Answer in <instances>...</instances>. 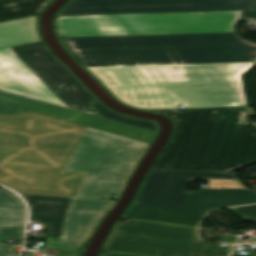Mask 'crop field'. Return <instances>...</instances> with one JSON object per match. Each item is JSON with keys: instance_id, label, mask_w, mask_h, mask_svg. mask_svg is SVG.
<instances>
[{"instance_id": "obj_9", "label": "crop field", "mask_w": 256, "mask_h": 256, "mask_svg": "<svg viewBox=\"0 0 256 256\" xmlns=\"http://www.w3.org/2000/svg\"><path fill=\"white\" fill-rule=\"evenodd\" d=\"M256 10V0H72L58 16Z\"/></svg>"}, {"instance_id": "obj_4", "label": "crop field", "mask_w": 256, "mask_h": 256, "mask_svg": "<svg viewBox=\"0 0 256 256\" xmlns=\"http://www.w3.org/2000/svg\"><path fill=\"white\" fill-rule=\"evenodd\" d=\"M193 179L209 180L208 188L182 192ZM250 203H256V192L247 190L236 173L151 171L123 217L196 226L211 209Z\"/></svg>"}, {"instance_id": "obj_19", "label": "crop field", "mask_w": 256, "mask_h": 256, "mask_svg": "<svg viewBox=\"0 0 256 256\" xmlns=\"http://www.w3.org/2000/svg\"><path fill=\"white\" fill-rule=\"evenodd\" d=\"M100 256H133V255H125V254L113 253V254H111V255H100Z\"/></svg>"}, {"instance_id": "obj_17", "label": "crop field", "mask_w": 256, "mask_h": 256, "mask_svg": "<svg viewBox=\"0 0 256 256\" xmlns=\"http://www.w3.org/2000/svg\"><path fill=\"white\" fill-rule=\"evenodd\" d=\"M20 111H27V110L0 103V113H12V112H20Z\"/></svg>"}, {"instance_id": "obj_18", "label": "crop field", "mask_w": 256, "mask_h": 256, "mask_svg": "<svg viewBox=\"0 0 256 256\" xmlns=\"http://www.w3.org/2000/svg\"><path fill=\"white\" fill-rule=\"evenodd\" d=\"M58 256H80V251L61 250Z\"/></svg>"}, {"instance_id": "obj_14", "label": "crop field", "mask_w": 256, "mask_h": 256, "mask_svg": "<svg viewBox=\"0 0 256 256\" xmlns=\"http://www.w3.org/2000/svg\"><path fill=\"white\" fill-rule=\"evenodd\" d=\"M92 104H93V107L99 111V113H100L99 116H101V117L115 120V121L122 122V123H126V124L133 125L136 127L144 128L147 130H151V131H155V132L157 131L155 124L152 122L139 120V119H133V118H129V117L117 114V113L107 109L99 102H94Z\"/></svg>"}, {"instance_id": "obj_6", "label": "crop field", "mask_w": 256, "mask_h": 256, "mask_svg": "<svg viewBox=\"0 0 256 256\" xmlns=\"http://www.w3.org/2000/svg\"><path fill=\"white\" fill-rule=\"evenodd\" d=\"M249 19L256 20V11L67 16L58 17L57 30L63 37L220 33Z\"/></svg>"}, {"instance_id": "obj_20", "label": "crop field", "mask_w": 256, "mask_h": 256, "mask_svg": "<svg viewBox=\"0 0 256 256\" xmlns=\"http://www.w3.org/2000/svg\"><path fill=\"white\" fill-rule=\"evenodd\" d=\"M231 256H245V255H237V254H233V255H231Z\"/></svg>"}, {"instance_id": "obj_1", "label": "crop field", "mask_w": 256, "mask_h": 256, "mask_svg": "<svg viewBox=\"0 0 256 256\" xmlns=\"http://www.w3.org/2000/svg\"><path fill=\"white\" fill-rule=\"evenodd\" d=\"M237 34V33H236ZM235 33L61 38L126 105L141 109L247 106L240 75L256 44Z\"/></svg>"}, {"instance_id": "obj_12", "label": "crop field", "mask_w": 256, "mask_h": 256, "mask_svg": "<svg viewBox=\"0 0 256 256\" xmlns=\"http://www.w3.org/2000/svg\"><path fill=\"white\" fill-rule=\"evenodd\" d=\"M37 16L0 24V48L41 41Z\"/></svg>"}, {"instance_id": "obj_10", "label": "crop field", "mask_w": 256, "mask_h": 256, "mask_svg": "<svg viewBox=\"0 0 256 256\" xmlns=\"http://www.w3.org/2000/svg\"><path fill=\"white\" fill-rule=\"evenodd\" d=\"M0 102L150 142L155 132L0 91Z\"/></svg>"}, {"instance_id": "obj_2", "label": "crop field", "mask_w": 256, "mask_h": 256, "mask_svg": "<svg viewBox=\"0 0 256 256\" xmlns=\"http://www.w3.org/2000/svg\"><path fill=\"white\" fill-rule=\"evenodd\" d=\"M147 146L33 112L0 115V182L25 193L108 198Z\"/></svg>"}, {"instance_id": "obj_3", "label": "crop field", "mask_w": 256, "mask_h": 256, "mask_svg": "<svg viewBox=\"0 0 256 256\" xmlns=\"http://www.w3.org/2000/svg\"><path fill=\"white\" fill-rule=\"evenodd\" d=\"M176 123L155 169L231 171L256 162V122L247 108L159 111Z\"/></svg>"}, {"instance_id": "obj_7", "label": "crop field", "mask_w": 256, "mask_h": 256, "mask_svg": "<svg viewBox=\"0 0 256 256\" xmlns=\"http://www.w3.org/2000/svg\"><path fill=\"white\" fill-rule=\"evenodd\" d=\"M103 249L153 256H227L225 247L196 242L195 229L129 220L119 222Z\"/></svg>"}, {"instance_id": "obj_11", "label": "crop field", "mask_w": 256, "mask_h": 256, "mask_svg": "<svg viewBox=\"0 0 256 256\" xmlns=\"http://www.w3.org/2000/svg\"><path fill=\"white\" fill-rule=\"evenodd\" d=\"M25 209L18 196L0 189V238L22 240Z\"/></svg>"}, {"instance_id": "obj_16", "label": "crop field", "mask_w": 256, "mask_h": 256, "mask_svg": "<svg viewBox=\"0 0 256 256\" xmlns=\"http://www.w3.org/2000/svg\"><path fill=\"white\" fill-rule=\"evenodd\" d=\"M14 246L0 245V256H18L19 252L15 251Z\"/></svg>"}, {"instance_id": "obj_8", "label": "crop field", "mask_w": 256, "mask_h": 256, "mask_svg": "<svg viewBox=\"0 0 256 256\" xmlns=\"http://www.w3.org/2000/svg\"><path fill=\"white\" fill-rule=\"evenodd\" d=\"M31 219L48 224V235L61 236L58 246L82 248L101 215L114 200L25 196Z\"/></svg>"}, {"instance_id": "obj_13", "label": "crop field", "mask_w": 256, "mask_h": 256, "mask_svg": "<svg viewBox=\"0 0 256 256\" xmlns=\"http://www.w3.org/2000/svg\"><path fill=\"white\" fill-rule=\"evenodd\" d=\"M52 0H0V21L40 13Z\"/></svg>"}, {"instance_id": "obj_15", "label": "crop field", "mask_w": 256, "mask_h": 256, "mask_svg": "<svg viewBox=\"0 0 256 256\" xmlns=\"http://www.w3.org/2000/svg\"><path fill=\"white\" fill-rule=\"evenodd\" d=\"M233 210L242 217H252L253 222L256 223V205L234 208Z\"/></svg>"}, {"instance_id": "obj_21", "label": "crop field", "mask_w": 256, "mask_h": 256, "mask_svg": "<svg viewBox=\"0 0 256 256\" xmlns=\"http://www.w3.org/2000/svg\"><path fill=\"white\" fill-rule=\"evenodd\" d=\"M252 243H256V239H254L253 241H251Z\"/></svg>"}, {"instance_id": "obj_5", "label": "crop field", "mask_w": 256, "mask_h": 256, "mask_svg": "<svg viewBox=\"0 0 256 256\" xmlns=\"http://www.w3.org/2000/svg\"><path fill=\"white\" fill-rule=\"evenodd\" d=\"M0 90L97 116L95 98L44 43L0 49Z\"/></svg>"}]
</instances>
